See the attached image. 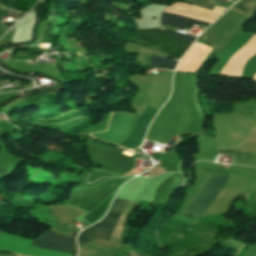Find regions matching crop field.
<instances>
[{
    "instance_id": "1",
    "label": "crop field",
    "mask_w": 256,
    "mask_h": 256,
    "mask_svg": "<svg viewBox=\"0 0 256 256\" xmlns=\"http://www.w3.org/2000/svg\"><path fill=\"white\" fill-rule=\"evenodd\" d=\"M153 29L160 33L177 38L179 40L185 41L190 44L195 39L193 37L181 35L168 30L162 31L157 28H153ZM154 30H151V29L139 30V33L141 34V38H143L145 41L150 43L154 48L164 51L171 57L180 59V57L183 55V53L188 49L190 45L185 42L168 37L166 35L160 34Z\"/></svg>"
},
{
    "instance_id": "2",
    "label": "crop field",
    "mask_w": 256,
    "mask_h": 256,
    "mask_svg": "<svg viewBox=\"0 0 256 256\" xmlns=\"http://www.w3.org/2000/svg\"><path fill=\"white\" fill-rule=\"evenodd\" d=\"M229 175L209 174L206 184L190 201L184 215L199 218Z\"/></svg>"
},
{
    "instance_id": "3",
    "label": "crop field",
    "mask_w": 256,
    "mask_h": 256,
    "mask_svg": "<svg viewBox=\"0 0 256 256\" xmlns=\"http://www.w3.org/2000/svg\"><path fill=\"white\" fill-rule=\"evenodd\" d=\"M128 203L129 201L127 200H121L116 198L109 213L101 222H99L94 227L92 226L93 228L90 227L91 229L88 228L90 230L86 229L79 234L80 236L88 230L86 233L78 237L79 248H82L91 240L98 238L105 239V237L107 236V234L109 233V231L111 230V228L113 227Z\"/></svg>"
},
{
    "instance_id": "4",
    "label": "crop field",
    "mask_w": 256,
    "mask_h": 256,
    "mask_svg": "<svg viewBox=\"0 0 256 256\" xmlns=\"http://www.w3.org/2000/svg\"><path fill=\"white\" fill-rule=\"evenodd\" d=\"M32 246L71 255L74 247V239L51 229L34 240Z\"/></svg>"
},
{
    "instance_id": "5",
    "label": "crop field",
    "mask_w": 256,
    "mask_h": 256,
    "mask_svg": "<svg viewBox=\"0 0 256 256\" xmlns=\"http://www.w3.org/2000/svg\"><path fill=\"white\" fill-rule=\"evenodd\" d=\"M161 23L164 25H170L180 29L188 28L194 24H202L205 26L210 25V23L202 22L199 20L191 19L188 17H184L181 15L173 14L166 11L161 16Z\"/></svg>"
},
{
    "instance_id": "6",
    "label": "crop field",
    "mask_w": 256,
    "mask_h": 256,
    "mask_svg": "<svg viewBox=\"0 0 256 256\" xmlns=\"http://www.w3.org/2000/svg\"><path fill=\"white\" fill-rule=\"evenodd\" d=\"M255 5L256 0H242L234 8H232V10L245 16Z\"/></svg>"
},
{
    "instance_id": "7",
    "label": "crop field",
    "mask_w": 256,
    "mask_h": 256,
    "mask_svg": "<svg viewBox=\"0 0 256 256\" xmlns=\"http://www.w3.org/2000/svg\"><path fill=\"white\" fill-rule=\"evenodd\" d=\"M176 64H177L176 61L165 60V59H161L154 56L152 57V60L150 63L151 66L161 67V68L171 69V70H174Z\"/></svg>"
},
{
    "instance_id": "8",
    "label": "crop field",
    "mask_w": 256,
    "mask_h": 256,
    "mask_svg": "<svg viewBox=\"0 0 256 256\" xmlns=\"http://www.w3.org/2000/svg\"><path fill=\"white\" fill-rule=\"evenodd\" d=\"M190 1H192L195 6H199V7L211 10V11L213 10V8L215 6L214 4H212L210 2V0H190Z\"/></svg>"
},
{
    "instance_id": "9",
    "label": "crop field",
    "mask_w": 256,
    "mask_h": 256,
    "mask_svg": "<svg viewBox=\"0 0 256 256\" xmlns=\"http://www.w3.org/2000/svg\"><path fill=\"white\" fill-rule=\"evenodd\" d=\"M222 5V4H221ZM222 6H224V5H222Z\"/></svg>"
}]
</instances>
